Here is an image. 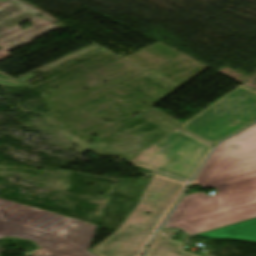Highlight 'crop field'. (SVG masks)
<instances>
[{"instance_id": "obj_1", "label": "crop field", "mask_w": 256, "mask_h": 256, "mask_svg": "<svg viewBox=\"0 0 256 256\" xmlns=\"http://www.w3.org/2000/svg\"><path fill=\"white\" fill-rule=\"evenodd\" d=\"M96 225L0 199V238L31 240L39 248L74 256L88 251Z\"/></svg>"}, {"instance_id": "obj_2", "label": "crop field", "mask_w": 256, "mask_h": 256, "mask_svg": "<svg viewBox=\"0 0 256 256\" xmlns=\"http://www.w3.org/2000/svg\"><path fill=\"white\" fill-rule=\"evenodd\" d=\"M216 188L211 197H183L162 229L180 228L192 236L256 217V176Z\"/></svg>"}, {"instance_id": "obj_3", "label": "crop field", "mask_w": 256, "mask_h": 256, "mask_svg": "<svg viewBox=\"0 0 256 256\" xmlns=\"http://www.w3.org/2000/svg\"><path fill=\"white\" fill-rule=\"evenodd\" d=\"M255 121L256 92L241 85L179 128L214 144Z\"/></svg>"}, {"instance_id": "obj_4", "label": "crop field", "mask_w": 256, "mask_h": 256, "mask_svg": "<svg viewBox=\"0 0 256 256\" xmlns=\"http://www.w3.org/2000/svg\"><path fill=\"white\" fill-rule=\"evenodd\" d=\"M256 175V125L218 145L196 177L205 188Z\"/></svg>"}, {"instance_id": "obj_5", "label": "crop field", "mask_w": 256, "mask_h": 256, "mask_svg": "<svg viewBox=\"0 0 256 256\" xmlns=\"http://www.w3.org/2000/svg\"><path fill=\"white\" fill-rule=\"evenodd\" d=\"M156 146L171 158L153 171L187 182L192 179L195 171L213 147L179 129L171 132Z\"/></svg>"}, {"instance_id": "obj_6", "label": "crop field", "mask_w": 256, "mask_h": 256, "mask_svg": "<svg viewBox=\"0 0 256 256\" xmlns=\"http://www.w3.org/2000/svg\"><path fill=\"white\" fill-rule=\"evenodd\" d=\"M166 215L167 212L156 209L147 225H121L90 252L96 256H139Z\"/></svg>"}, {"instance_id": "obj_7", "label": "crop field", "mask_w": 256, "mask_h": 256, "mask_svg": "<svg viewBox=\"0 0 256 256\" xmlns=\"http://www.w3.org/2000/svg\"><path fill=\"white\" fill-rule=\"evenodd\" d=\"M185 186L186 183L156 174L138 206L153 211L158 208L169 212Z\"/></svg>"}, {"instance_id": "obj_8", "label": "crop field", "mask_w": 256, "mask_h": 256, "mask_svg": "<svg viewBox=\"0 0 256 256\" xmlns=\"http://www.w3.org/2000/svg\"><path fill=\"white\" fill-rule=\"evenodd\" d=\"M192 238L239 239L256 241V218L192 236Z\"/></svg>"}, {"instance_id": "obj_9", "label": "crop field", "mask_w": 256, "mask_h": 256, "mask_svg": "<svg viewBox=\"0 0 256 256\" xmlns=\"http://www.w3.org/2000/svg\"><path fill=\"white\" fill-rule=\"evenodd\" d=\"M177 231H160L145 256H194L188 252H182L167 246Z\"/></svg>"}, {"instance_id": "obj_10", "label": "crop field", "mask_w": 256, "mask_h": 256, "mask_svg": "<svg viewBox=\"0 0 256 256\" xmlns=\"http://www.w3.org/2000/svg\"><path fill=\"white\" fill-rule=\"evenodd\" d=\"M169 157L163 155L158 148L153 145L149 149L145 150L139 156L134 158L131 162L138 167L153 170L161 163L166 161Z\"/></svg>"}, {"instance_id": "obj_11", "label": "crop field", "mask_w": 256, "mask_h": 256, "mask_svg": "<svg viewBox=\"0 0 256 256\" xmlns=\"http://www.w3.org/2000/svg\"><path fill=\"white\" fill-rule=\"evenodd\" d=\"M143 211H148L150 214L145 215L142 213ZM152 214L153 211L136 206V208L132 211V213L128 216L123 224H147Z\"/></svg>"}, {"instance_id": "obj_12", "label": "crop field", "mask_w": 256, "mask_h": 256, "mask_svg": "<svg viewBox=\"0 0 256 256\" xmlns=\"http://www.w3.org/2000/svg\"><path fill=\"white\" fill-rule=\"evenodd\" d=\"M0 84L7 85V86H18V87H25L18 82L0 74Z\"/></svg>"}, {"instance_id": "obj_13", "label": "crop field", "mask_w": 256, "mask_h": 256, "mask_svg": "<svg viewBox=\"0 0 256 256\" xmlns=\"http://www.w3.org/2000/svg\"><path fill=\"white\" fill-rule=\"evenodd\" d=\"M29 256H69V255L39 249L38 251L34 252Z\"/></svg>"}, {"instance_id": "obj_14", "label": "crop field", "mask_w": 256, "mask_h": 256, "mask_svg": "<svg viewBox=\"0 0 256 256\" xmlns=\"http://www.w3.org/2000/svg\"><path fill=\"white\" fill-rule=\"evenodd\" d=\"M169 246H172V247H174V248H177V249H180V250L183 251V249H182V244H181V243H177V242L171 241L170 244H169Z\"/></svg>"}]
</instances>
